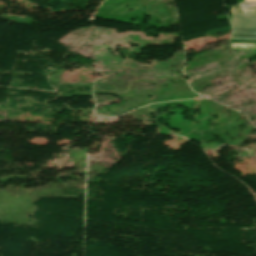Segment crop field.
Segmentation results:
<instances>
[{
  "label": "crop field",
  "instance_id": "obj_4",
  "mask_svg": "<svg viewBox=\"0 0 256 256\" xmlns=\"http://www.w3.org/2000/svg\"><path fill=\"white\" fill-rule=\"evenodd\" d=\"M231 7H256V2H241Z\"/></svg>",
  "mask_w": 256,
  "mask_h": 256
},
{
  "label": "crop field",
  "instance_id": "obj_2",
  "mask_svg": "<svg viewBox=\"0 0 256 256\" xmlns=\"http://www.w3.org/2000/svg\"><path fill=\"white\" fill-rule=\"evenodd\" d=\"M231 39L256 40V34H232Z\"/></svg>",
  "mask_w": 256,
  "mask_h": 256
},
{
  "label": "crop field",
  "instance_id": "obj_3",
  "mask_svg": "<svg viewBox=\"0 0 256 256\" xmlns=\"http://www.w3.org/2000/svg\"><path fill=\"white\" fill-rule=\"evenodd\" d=\"M231 13H250V14H256V9L231 8Z\"/></svg>",
  "mask_w": 256,
  "mask_h": 256
},
{
  "label": "crop field",
  "instance_id": "obj_1",
  "mask_svg": "<svg viewBox=\"0 0 256 256\" xmlns=\"http://www.w3.org/2000/svg\"><path fill=\"white\" fill-rule=\"evenodd\" d=\"M232 33H256V15L232 14Z\"/></svg>",
  "mask_w": 256,
  "mask_h": 256
}]
</instances>
